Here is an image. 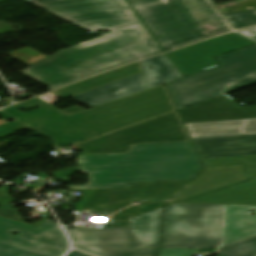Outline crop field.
I'll return each instance as SVG.
<instances>
[{"label": "crop field", "mask_w": 256, "mask_h": 256, "mask_svg": "<svg viewBox=\"0 0 256 256\" xmlns=\"http://www.w3.org/2000/svg\"><path fill=\"white\" fill-rule=\"evenodd\" d=\"M68 248L56 222L46 220L34 227L21 221L17 211L0 216V256H63Z\"/></svg>", "instance_id": "10"}, {"label": "crop field", "mask_w": 256, "mask_h": 256, "mask_svg": "<svg viewBox=\"0 0 256 256\" xmlns=\"http://www.w3.org/2000/svg\"><path fill=\"white\" fill-rule=\"evenodd\" d=\"M219 256H256V236L218 249Z\"/></svg>", "instance_id": "22"}, {"label": "crop field", "mask_w": 256, "mask_h": 256, "mask_svg": "<svg viewBox=\"0 0 256 256\" xmlns=\"http://www.w3.org/2000/svg\"><path fill=\"white\" fill-rule=\"evenodd\" d=\"M26 2L91 31L102 29L115 31L141 24L124 0H30Z\"/></svg>", "instance_id": "9"}, {"label": "crop field", "mask_w": 256, "mask_h": 256, "mask_svg": "<svg viewBox=\"0 0 256 256\" xmlns=\"http://www.w3.org/2000/svg\"><path fill=\"white\" fill-rule=\"evenodd\" d=\"M216 59L221 67L168 84L178 110L256 84V45Z\"/></svg>", "instance_id": "5"}, {"label": "crop field", "mask_w": 256, "mask_h": 256, "mask_svg": "<svg viewBox=\"0 0 256 256\" xmlns=\"http://www.w3.org/2000/svg\"><path fill=\"white\" fill-rule=\"evenodd\" d=\"M256 42L232 33L204 41L186 48L168 53L185 76L218 66L213 57L238 50ZM182 73V74H183Z\"/></svg>", "instance_id": "11"}, {"label": "crop field", "mask_w": 256, "mask_h": 256, "mask_svg": "<svg viewBox=\"0 0 256 256\" xmlns=\"http://www.w3.org/2000/svg\"><path fill=\"white\" fill-rule=\"evenodd\" d=\"M146 89L145 78L142 72L94 90L76 95L74 96V99L93 108L112 100L144 91Z\"/></svg>", "instance_id": "17"}, {"label": "crop field", "mask_w": 256, "mask_h": 256, "mask_svg": "<svg viewBox=\"0 0 256 256\" xmlns=\"http://www.w3.org/2000/svg\"><path fill=\"white\" fill-rule=\"evenodd\" d=\"M197 251L198 249H161L158 256H190Z\"/></svg>", "instance_id": "26"}, {"label": "crop field", "mask_w": 256, "mask_h": 256, "mask_svg": "<svg viewBox=\"0 0 256 256\" xmlns=\"http://www.w3.org/2000/svg\"><path fill=\"white\" fill-rule=\"evenodd\" d=\"M10 187V185H4L2 187H0V207L13 202V199L8 196V188Z\"/></svg>", "instance_id": "27"}, {"label": "crop field", "mask_w": 256, "mask_h": 256, "mask_svg": "<svg viewBox=\"0 0 256 256\" xmlns=\"http://www.w3.org/2000/svg\"><path fill=\"white\" fill-rule=\"evenodd\" d=\"M222 205H181L164 208L161 248H218Z\"/></svg>", "instance_id": "8"}, {"label": "crop field", "mask_w": 256, "mask_h": 256, "mask_svg": "<svg viewBox=\"0 0 256 256\" xmlns=\"http://www.w3.org/2000/svg\"><path fill=\"white\" fill-rule=\"evenodd\" d=\"M191 138L256 134V119L185 124Z\"/></svg>", "instance_id": "18"}, {"label": "crop field", "mask_w": 256, "mask_h": 256, "mask_svg": "<svg viewBox=\"0 0 256 256\" xmlns=\"http://www.w3.org/2000/svg\"><path fill=\"white\" fill-rule=\"evenodd\" d=\"M7 56L11 57V60L17 59L28 66L47 57L29 47L14 51Z\"/></svg>", "instance_id": "24"}, {"label": "crop field", "mask_w": 256, "mask_h": 256, "mask_svg": "<svg viewBox=\"0 0 256 256\" xmlns=\"http://www.w3.org/2000/svg\"><path fill=\"white\" fill-rule=\"evenodd\" d=\"M2 123H6V122L0 119V124H2Z\"/></svg>", "instance_id": "32"}, {"label": "crop field", "mask_w": 256, "mask_h": 256, "mask_svg": "<svg viewBox=\"0 0 256 256\" xmlns=\"http://www.w3.org/2000/svg\"><path fill=\"white\" fill-rule=\"evenodd\" d=\"M117 132L133 145L189 141L175 111Z\"/></svg>", "instance_id": "13"}, {"label": "crop field", "mask_w": 256, "mask_h": 256, "mask_svg": "<svg viewBox=\"0 0 256 256\" xmlns=\"http://www.w3.org/2000/svg\"><path fill=\"white\" fill-rule=\"evenodd\" d=\"M178 112L184 123L256 118V107L240 108L227 94Z\"/></svg>", "instance_id": "14"}, {"label": "crop field", "mask_w": 256, "mask_h": 256, "mask_svg": "<svg viewBox=\"0 0 256 256\" xmlns=\"http://www.w3.org/2000/svg\"><path fill=\"white\" fill-rule=\"evenodd\" d=\"M248 37H251V38H253V39H255L256 40V33H254V34H251V35H247Z\"/></svg>", "instance_id": "31"}, {"label": "crop field", "mask_w": 256, "mask_h": 256, "mask_svg": "<svg viewBox=\"0 0 256 256\" xmlns=\"http://www.w3.org/2000/svg\"><path fill=\"white\" fill-rule=\"evenodd\" d=\"M67 256H87V255H84V254H81V253H79V252H76V251H72L69 255H67Z\"/></svg>", "instance_id": "30"}, {"label": "crop field", "mask_w": 256, "mask_h": 256, "mask_svg": "<svg viewBox=\"0 0 256 256\" xmlns=\"http://www.w3.org/2000/svg\"><path fill=\"white\" fill-rule=\"evenodd\" d=\"M80 169L78 167H69L66 169H63L61 171L53 173L54 177L56 178H63V177H68L69 175L79 171Z\"/></svg>", "instance_id": "28"}, {"label": "crop field", "mask_w": 256, "mask_h": 256, "mask_svg": "<svg viewBox=\"0 0 256 256\" xmlns=\"http://www.w3.org/2000/svg\"><path fill=\"white\" fill-rule=\"evenodd\" d=\"M187 182L156 181L131 183V188L97 189L82 210L108 217L111 228L129 226V218L163 207Z\"/></svg>", "instance_id": "7"}, {"label": "crop field", "mask_w": 256, "mask_h": 256, "mask_svg": "<svg viewBox=\"0 0 256 256\" xmlns=\"http://www.w3.org/2000/svg\"><path fill=\"white\" fill-rule=\"evenodd\" d=\"M225 7H228V10H225L223 14L256 9V0H242L237 3L226 4Z\"/></svg>", "instance_id": "25"}, {"label": "crop field", "mask_w": 256, "mask_h": 256, "mask_svg": "<svg viewBox=\"0 0 256 256\" xmlns=\"http://www.w3.org/2000/svg\"><path fill=\"white\" fill-rule=\"evenodd\" d=\"M37 110L21 112L17 109ZM174 111L167 91L159 86L115 100L71 116L36 98L0 110L6 121L18 120L54 140V146H69L107 132L117 130Z\"/></svg>", "instance_id": "1"}, {"label": "crop field", "mask_w": 256, "mask_h": 256, "mask_svg": "<svg viewBox=\"0 0 256 256\" xmlns=\"http://www.w3.org/2000/svg\"><path fill=\"white\" fill-rule=\"evenodd\" d=\"M141 62L148 89L159 86L165 81L182 77L165 54ZM150 66H153V69L148 70Z\"/></svg>", "instance_id": "21"}, {"label": "crop field", "mask_w": 256, "mask_h": 256, "mask_svg": "<svg viewBox=\"0 0 256 256\" xmlns=\"http://www.w3.org/2000/svg\"><path fill=\"white\" fill-rule=\"evenodd\" d=\"M164 52L231 31L210 0H127Z\"/></svg>", "instance_id": "4"}, {"label": "crop field", "mask_w": 256, "mask_h": 256, "mask_svg": "<svg viewBox=\"0 0 256 256\" xmlns=\"http://www.w3.org/2000/svg\"><path fill=\"white\" fill-rule=\"evenodd\" d=\"M250 209H254V216H251ZM254 235H256V206L223 205L220 247Z\"/></svg>", "instance_id": "16"}, {"label": "crop field", "mask_w": 256, "mask_h": 256, "mask_svg": "<svg viewBox=\"0 0 256 256\" xmlns=\"http://www.w3.org/2000/svg\"><path fill=\"white\" fill-rule=\"evenodd\" d=\"M240 33L247 35L256 32V27L248 28L242 31H239Z\"/></svg>", "instance_id": "29"}, {"label": "crop field", "mask_w": 256, "mask_h": 256, "mask_svg": "<svg viewBox=\"0 0 256 256\" xmlns=\"http://www.w3.org/2000/svg\"><path fill=\"white\" fill-rule=\"evenodd\" d=\"M161 208L130 219V227L71 229L75 248L98 256H156Z\"/></svg>", "instance_id": "6"}, {"label": "crop field", "mask_w": 256, "mask_h": 256, "mask_svg": "<svg viewBox=\"0 0 256 256\" xmlns=\"http://www.w3.org/2000/svg\"><path fill=\"white\" fill-rule=\"evenodd\" d=\"M85 154L128 153L132 144L116 131L76 144Z\"/></svg>", "instance_id": "20"}, {"label": "crop field", "mask_w": 256, "mask_h": 256, "mask_svg": "<svg viewBox=\"0 0 256 256\" xmlns=\"http://www.w3.org/2000/svg\"><path fill=\"white\" fill-rule=\"evenodd\" d=\"M87 185L66 189L130 187V182L191 180L202 168L190 142L132 146L128 154L77 156Z\"/></svg>", "instance_id": "3"}, {"label": "crop field", "mask_w": 256, "mask_h": 256, "mask_svg": "<svg viewBox=\"0 0 256 256\" xmlns=\"http://www.w3.org/2000/svg\"><path fill=\"white\" fill-rule=\"evenodd\" d=\"M205 166L244 164L249 181L232 185L181 204L256 205V156L202 160Z\"/></svg>", "instance_id": "12"}, {"label": "crop field", "mask_w": 256, "mask_h": 256, "mask_svg": "<svg viewBox=\"0 0 256 256\" xmlns=\"http://www.w3.org/2000/svg\"><path fill=\"white\" fill-rule=\"evenodd\" d=\"M192 140L201 159L256 155V135Z\"/></svg>", "instance_id": "15"}, {"label": "crop field", "mask_w": 256, "mask_h": 256, "mask_svg": "<svg viewBox=\"0 0 256 256\" xmlns=\"http://www.w3.org/2000/svg\"><path fill=\"white\" fill-rule=\"evenodd\" d=\"M235 30L256 24V10L225 15Z\"/></svg>", "instance_id": "23"}, {"label": "crop field", "mask_w": 256, "mask_h": 256, "mask_svg": "<svg viewBox=\"0 0 256 256\" xmlns=\"http://www.w3.org/2000/svg\"><path fill=\"white\" fill-rule=\"evenodd\" d=\"M160 53L161 49L143 25H140L59 51L19 73L52 90Z\"/></svg>", "instance_id": "2"}, {"label": "crop field", "mask_w": 256, "mask_h": 256, "mask_svg": "<svg viewBox=\"0 0 256 256\" xmlns=\"http://www.w3.org/2000/svg\"><path fill=\"white\" fill-rule=\"evenodd\" d=\"M142 71L141 62L139 61L53 92L65 99Z\"/></svg>", "instance_id": "19"}]
</instances>
